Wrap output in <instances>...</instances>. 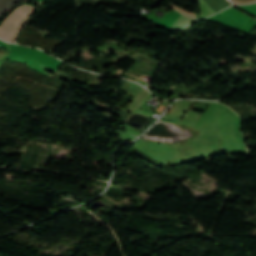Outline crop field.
Instances as JSON below:
<instances>
[{
    "label": "crop field",
    "instance_id": "obj_1",
    "mask_svg": "<svg viewBox=\"0 0 256 256\" xmlns=\"http://www.w3.org/2000/svg\"><path fill=\"white\" fill-rule=\"evenodd\" d=\"M35 11V7L23 5L16 8L0 26V38L13 42L24 21Z\"/></svg>",
    "mask_w": 256,
    "mask_h": 256
},
{
    "label": "crop field",
    "instance_id": "obj_2",
    "mask_svg": "<svg viewBox=\"0 0 256 256\" xmlns=\"http://www.w3.org/2000/svg\"><path fill=\"white\" fill-rule=\"evenodd\" d=\"M222 15H224L225 17H227L228 19L234 21L235 23L239 24V25H243L244 23H246L248 20L251 19V17L243 14L242 12L230 7L228 9H225L221 12Z\"/></svg>",
    "mask_w": 256,
    "mask_h": 256
},
{
    "label": "crop field",
    "instance_id": "obj_3",
    "mask_svg": "<svg viewBox=\"0 0 256 256\" xmlns=\"http://www.w3.org/2000/svg\"><path fill=\"white\" fill-rule=\"evenodd\" d=\"M179 13L177 11H170L167 14H165L159 21L158 24L166 26L168 28L171 27V25L176 21V19L179 17Z\"/></svg>",
    "mask_w": 256,
    "mask_h": 256
},
{
    "label": "crop field",
    "instance_id": "obj_4",
    "mask_svg": "<svg viewBox=\"0 0 256 256\" xmlns=\"http://www.w3.org/2000/svg\"><path fill=\"white\" fill-rule=\"evenodd\" d=\"M194 21H196V19L181 15L178 18V20L174 23V25L171 27V30L177 31V30L187 26L188 24H190Z\"/></svg>",
    "mask_w": 256,
    "mask_h": 256
},
{
    "label": "crop field",
    "instance_id": "obj_5",
    "mask_svg": "<svg viewBox=\"0 0 256 256\" xmlns=\"http://www.w3.org/2000/svg\"><path fill=\"white\" fill-rule=\"evenodd\" d=\"M237 7L256 17V3L251 5H240Z\"/></svg>",
    "mask_w": 256,
    "mask_h": 256
},
{
    "label": "crop field",
    "instance_id": "obj_6",
    "mask_svg": "<svg viewBox=\"0 0 256 256\" xmlns=\"http://www.w3.org/2000/svg\"><path fill=\"white\" fill-rule=\"evenodd\" d=\"M236 4H244V3H250V2H254L256 0H231Z\"/></svg>",
    "mask_w": 256,
    "mask_h": 256
},
{
    "label": "crop field",
    "instance_id": "obj_7",
    "mask_svg": "<svg viewBox=\"0 0 256 256\" xmlns=\"http://www.w3.org/2000/svg\"><path fill=\"white\" fill-rule=\"evenodd\" d=\"M37 1H39V2H40V1H42V0H37Z\"/></svg>",
    "mask_w": 256,
    "mask_h": 256
}]
</instances>
